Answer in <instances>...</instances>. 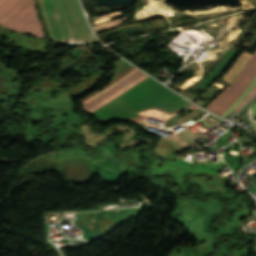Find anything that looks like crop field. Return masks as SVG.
Instances as JSON below:
<instances>
[{
  "instance_id": "1",
  "label": "crop field",
  "mask_w": 256,
  "mask_h": 256,
  "mask_svg": "<svg viewBox=\"0 0 256 256\" xmlns=\"http://www.w3.org/2000/svg\"><path fill=\"white\" fill-rule=\"evenodd\" d=\"M255 75L256 52L251 57L242 72L235 79V81L221 95H219L213 102H211L206 107V109L221 116L232 105V103L247 89L248 85L255 77Z\"/></svg>"
},
{
  "instance_id": "2",
  "label": "crop field",
  "mask_w": 256,
  "mask_h": 256,
  "mask_svg": "<svg viewBox=\"0 0 256 256\" xmlns=\"http://www.w3.org/2000/svg\"><path fill=\"white\" fill-rule=\"evenodd\" d=\"M149 76H147L146 74L141 75L140 77L134 79L133 81H131L130 83H128L127 85H125L124 87H122L120 90H118L117 92H115L114 94L110 95L109 97L105 98L104 100L100 101L99 103H97L96 105H94L92 108L88 109L87 113H92L93 111L101 108L103 105L109 103L110 101H112L114 98H116L118 95H120L121 93L129 90L130 88H132L133 86H135L137 83H139L140 81H142L143 79L147 78Z\"/></svg>"
},
{
  "instance_id": "3",
  "label": "crop field",
  "mask_w": 256,
  "mask_h": 256,
  "mask_svg": "<svg viewBox=\"0 0 256 256\" xmlns=\"http://www.w3.org/2000/svg\"><path fill=\"white\" fill-rule=\"evenodd\" d=\"M141 72L140 70L137 71L136 73H134L133 75H131L130 77H128L127 79L123 80L122 82H120L119 84H117L115 87H113L112 89L108 90L107 92L103 93L102 95H100L99 97L95 98L94 100L90 101L89 103H87L86 105L82 106V108L85 110L87 108H89L90 106L94 105L95 103H97L98 101L102 100L103 98L107 97L108 95H110L111 93L115 92L116 90H118L119 88H121L122 86H124L126 83H128L129 81H131L132 79L136 78L138 75H140Z\"/></svg>"
},
{
  "instance_id": "4",
  "label": "crop field",
  "mask_w": 256,
  "mask_h": 256,
  "mask_svg": "<svg viewBox=\"0 0 256 256\" xmlns=\"http://www.w3.org/2000/svg\"><path fill=\"white\" fill-rule=\"evenodd\" d=\"M256 84V77L253 82L250 84L248 89L234 102V104L222 115V117L226 118L240 103L241 101L248 95L253 86Z\"/></svg>"
},
{
  "instance_id": "5",
  "label": "crop field",
  "mask_w": 256,
  "mask_h": 256,
  "mask_svg": "<svg viewBox=\"0 0 256 256\" xmlns=\"http://www.w3.org/2000/svg\"><path fill=\"white\" fill-rule=\"evenodd\" d=\"M173 141H175L177 144H179L181 147H185L188 144L194 142L192 139H190L183 131L175 135L171 138ZM171 140V141H172Z\"/></svg>"
},
{
  "instance_id": "6",
  "label": "crop field",
  "mask_w": 256,
  "mask_h": 256,
  "mask_svg": "<svg viewBox=\"0 0 256 256\" xmlns=\"http://www.w3.org/2000/svg\"><path fill=\"white\" fill-rule=\"evenodd\" d=\"M127 18L116 19L114 21H110V22L94 25L92 27H93L95 32L103 31V30H105L107 28L114 27V26L118 25L119 23H121L122 21L126 20Z\"/></svg>"
},
{
  "instance_id": "7",
  "label": "crop field",
  "mask_w": 256,
  "mask_h": 256,
  "mask_svg": "<svg viewBox=\"0 0 256 256\" xmlns=\"http://www.w3.org/2000/svg\"><path fill=\"white\" fill-rule=\"evenodd\" d=\"M135 68L132 67L130 69H128L127 71H125L123 74H121L120 76H118L116 79H114L112 82H110L108 85H106L104 88L100 89L99 91L95 92L94 94L90 95L89 97L85 98L84 100L80 101L83 102L89 98H91L92 96H94L95 94L99 93L100 91H102L103 89L107 88L108 86H110L111 84H113L114 82H116L117 80L121 79L125 74L129 73L130 71L134 70Z\"/></svg>"
},
{
  "instance_id": "8",
  "label": "crop field",
  "mask_w": 256,
  "mask_h": 256,
  "mask_svg": "<svg viewBox=\"0 0 256 256\" xmlns=\"http://www.w3.org/2000/svg\"><path fill=\"white\" fill-rule=\"evenodd\" d=\"M256 91V85L252 89V91L249 93V95L243 100V102L235 109V111H239L245 104L246 102L250 99V97L253 95V93Z\"/></svg>"
},
{
  "instance_id": "9",
  "label": "crop field",
  "mask_w": 256,
  "mask_h": 256,
  "mask_svg": "<svg viewBox=\"0 0 256 256\" xmlns=\"http://www.w3.org/2000/svg\"><path fill=\"white\" fill-rule=\"evenodd\" d=\"M136 70H137V69H136ZM136 70H134V71H132L131 73H129L128 75L124 76L121 80H119L118 82L114 83L113 85H111L110 87H108L107 89H105L104 91L110 89L111 87H113L114 85H116L117 83H119L120 81H122L123 79H125L126 77H128L130 74H132L133 72H135ZM104 91L100 92L99 94H97L96 96H94V97H92L91 99L87 100L86 102L82 103V105L85 104V103H87V102H89V101L92 100L93 98L99 96V95L102 94Z\"/></svg>"
},
{
  "instance_id": "10",
  "label": "crop field",
  "mask_w": 256,
  "mask_h": 256,
  "mask_svg": "<svg viewBox=\"0 0 256 256\" xmlns=\"http://www.w3.org/2000/svg\"><path fill=\"white\" fill-rule=\"evenodd\" d=\"M185 132L192 138H194L195 140L197 138H199L198 136H196L194 133H192L190 130H188L187 128L185 129Z\"/></svg>"
},
{
  "instance_id": "11",
  "label": "crop field",
  "mask_w": 256,
  "mask_h": 256,
  "mask_svg": "<svg viewBox=\"0 0 256 256\" xmlns=\"http://www.w3.org/2000/svg\"><path fill=\"white\" fill-rule=\"evenodd\" d=\"M251 115H252V119L255 117V115H256V102H255V104L252 106V108H251Z\"/></svg>"
},
{
  "instance_id": "12",
  "label": "crop field",
  "mask_w": 256,
  "mask_h": 256,
  "mask_svg": "<svg viewBox=\"0 0 256 256\" xmlns=\"http://www.w3.org/2000/svg\"><path fill=\"white\" fill-rule=\"evenodd\" d=\"M205 118H207L209 121H211L213 124H215V125H217V124H219V123H217L216 121H214L213 119H211L210 117H205Z\"/></svg>"
},
{
  "instance_id": "13",
  "label": "crop field",
  "mask_w": 256,
  "mask_h": 256,
  "mask_svg": "<svg viewBox=\"0 0 256 256\" xmlns=\"http://www.w3.org/2000/svg\"><path fill=\"white\" fill-rule=\"evenodd\" d=\"M256 101V96H255V98L252 100V102H251V106L253 105V103ZM250 106V107H251Z\"/></svg>"
},
{
  "instance_id": "14",
  "label": "crop field",
  "mask_w": 256,
  "mask_h": 256,
  "mask_svg": "<svg viewBox=\"0 0 256 256\" xmlns=\"http://www.w3.org/2000/svg\"><path fill=\"white\" fill-rule=\"evenodd\" d=\"M252 121V120H251ZM252 123L254 124V126L256 127V122L252 121Z\"/></svg>"
}]
</instances>
